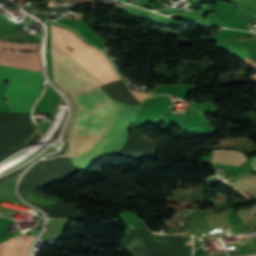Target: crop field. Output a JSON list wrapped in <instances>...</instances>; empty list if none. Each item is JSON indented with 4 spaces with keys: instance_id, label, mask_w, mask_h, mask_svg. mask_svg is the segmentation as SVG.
Returning <instances> with one entry per match:
<instances>
[{
    "instance_id": "obj_9",
    "label": "crop field",
    "mask_w": 256,
    "mask_h": 256,
    "mask_svg": "<svg viewBox=\"0 0 256 256\" xmlns=\"http://www.w3.org/2000/svg\"><path fill=\"white\" fill-rule=\"evenodd\" d=\"M159 11H163V12H166V13H170V12H174V8H171V9H167V10H159Z\"/></svg>"
},
{
    "instance_id": "obj_2",
    "label": "crop field",
    "mask_w": 256,
    "mask_h": 256,
    "mask_svg": "<svg viewBox=\"0 0 256 256\" xmlns=\"http://www.w3.org/2000/svg\"><path fill=\"white\" fill-rule=\"evenodd\" d=\"M52 52L61 64V82L75 86L115 74L106 57L67 29L51 25ZM119 80L117 74L77 86L80 91Z\"/></svg>"
},
{
    "instance_id": "obj_7",
    "label": "crop field",
    "mask_w": 256,
    "mask_h": 256,
    "mask_svg": "<svg viewBox=\"0 0 256 256\" xmlns=\"http://www.w3.org/2000/svg\"><path fill=\"white\" fill-rule=\"evenodd\" d=\"M0 48L5 50L16 51H39L40 44H15L8 42H0Z\"/></svg>"
},
{
    "instance_id": "obj_6",
    "label": "crop field",
    "mask_w": 256,
    "mask_h": 256,
    "mask_svg": "<svg viewBox=\"0 0 256 256\" xmlns=\"http://www.w3.org/2000/svg\"><path fill=\"white\" fill-rule=\"evenodd\" d=\"M212 162L219 164H230L236 166H242L247 163V158L244 153L228 150H215L212 157Z\"/></svg>"
},
{
    "instance_id": "obj_4",
    "label": "crop field",
    "mask_w": 256,
    "mask_h": 256,
    "mask_svg": "<svg viewBox=\"0 0 256 256\" xmlns=\"http://www.w3.org/2000/svg\"><path fill=\"white\" fill-rule=\"evenodd\" d=\"M34 205L46 212L49 218L77 219L81 217L77 204L43 203Z\"/></svg>"
},
{
    "instance_id": "obj_1",
    "label": "crop field",
    "mask_w": 256,
    "mask_h": 256,
    "mask_svg": "<svg viewBox=\"0 0 256 256\" xmlns=\"http://www.w3.org/2000/svg\"><path fill=\"white\" fill-rule=\"evenodd\" d=\"M133 96L142 102L154 95L138 93L129 90ZM104 92L101 88H94L71 95L77 107V117L74 126L68 136L71 147L68 148L70 154L84 146L89 131L102 106ZM124 106L114 105V102L106 94L103 106L90 131L84 147L71 155L73 163L79 168L85 167L94 159L108 143L112 130L123 110Z\"/></svg>"
},
{
    "instance_id": "obj_5",
    "label": "crop field",
    "mask_w": 256,
    "mask_h": 256,
    "mask_svg": "<svg viewBox=\"0 0 256 256\" xmlns=\"http://www.w3.org/2000/svg\"><path fill=\"white\" fill-rule=\"evenodd\" d=\"M35 237L36 235L14 237L0 244V256H26Z\"/></svg>"
},
{
    "instance_id": "obj_3",
    "label": "crop field",
    "mask_w": 256,
    "mask_h": 256,
    "mask_svg": "<svg viewBox=\"0 0 256 256\" xmlns=\"http://www.w3.org/2000/svg\"><path fill=\"white\" fill-rule=\"evenodd\" d=\"M0 64L42 72L41 54L0 51ZM0 65V80L8 81L4 96L11 112H29L42 89V73Z\"/></svg>"
},
{
    "instance_id": "obj_8",
    "label": "crop field",
    "mask_w": 256,
    "mask_h": 256,
    "mask_svg": "<svg viewBox=\"0 0 256 256\" xmlns=\"http://www.w3.org/2000/svg\"><path fill=\"white\" fill-rule=\"evenodd\" d=\"M250 161H251V163H252L253 168L256 169V156L253 157V158H250ZM255 169H254V170H255Z\"/></svg>"
}]
</instances>
